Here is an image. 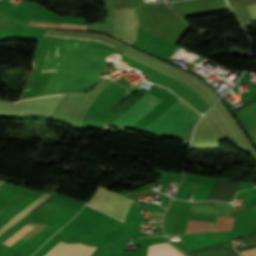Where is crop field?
I'll use <instances>...</instances> for the list:
<instances>
[{"mask_svg": "<svg viewBox=\"0 0 256 256\" xmlns=\"http://www.w3.org/2000/svg\"><path fill=\"white\" fill-rule=\"evenodd\" d=\"M199 116L200 115L198 113L189 108L170 92L161 87H156L132 108L116 119L112 124L131 125L134 127L175 135ZM195 121L175 135V137L186 140ZM140 128L135 129L160 134ZM166 136L173 137L172 135Z\"/></svg>", "mask_w": 256, "mask_h": 256, "instance_id": "crop-field-1", "label": "crop field"}, {"mask_svg": "<svg viewBox=\"0 0 256 256\" xmlns=\"http://www.w3.org/2000/svg\"><path fill=\"white\" fill-rule=\"evenodd\" d=\"M123 54L182 81L196 91L209 106L218 98L212 89L190 73L177 69L131 47L125 50Z\"/></svg>", "mask_w": 256, "mask_h": 256, "instance_id": "crop-field-2", "label": "crop field"}, {"mask_svg": "<svg viewBox=\"0 0 256 256\" xmlns=\"http://www.w3.org/2000/svg\"><path fill=\"white\" fill-rule=\"evenodd\" d=\"M64 95L41 97L19 101L17 103H0V116H27L51 118Z\"/></svg>", "mask_w": 256, "mask_h": 256, "instance_id": "crop-field-3", "label": "crop field"}, {"mask_svg": "<svg viewBox=\"0 0 256 256\" xmlns=\"http://www.w3.org/2000/svg\"><path fill=\"white\" fill-rule=\"evenodd\" d=\"M134 200L99 186L87 206L100 210L124 222L128 209Z\"/></svg>", "mask_w": 256, "mask_h": 256, "instance_id": "crop-field-4", "label": "crop field"}, {"mask_svg": "<svg viewBox=\"0 0 256 256\" xmlns=\"http://www.w3.org/2000/svg\"><path fill=\"white\" fill-rule=\"evenodd\" d=\"M138 19L134 9L114 10V36L131 44L135 40Z\"/></svg>", "mask_w": 256, "mask_h": 256, "instance_id": "crop-field-5", "label": "crop field"}, {"mask_svg": "<svg viewBox=\"0 0 256 256\" xmlns=\"http://www.w3.org/2000/svg\"><path fill=\"white\" fill-rule=\"evenodd\" d=\"M96 247L58 243L45 256H89Z\"/></svg>", "mask_w": 256, "mask_h": 256, "instance_id": "crop-field-6", "label": "crop field"}, {"mask_svg": "<svg viewBox=\"0 0 256 256\" xmlns=\"http://www.w3.org/2000/svg\"><path fill=\"white\" fill-rule=\"evenodd\" d=\"M148 256H183L168 243L149 246Z\"/></svg>", "mask_w": 256, "mask_h": 256, "instance_id": "crop-field-7", "label": "crop field"}, {"mask_svg": "<svg viewBox=\"0 0 256 256\" xmlns=\"http://www.w3.org/2000/svg\"><path fill=\"white\" fill-rule=\"evenodd\" d=\"M51 197L50 195L43 194L41 197H39L37 200H35L33 203H31L29 206H27L23 211H21L17 216L10 219L4 226L0 228V235L7 230L9 227H11L15 222H17L20 218H22L24 215L29 213L31 210H33L35 207L40 205L42 202H44L46 199ZM21 220V219H20Z\"/></svg>", "mask_w": 256, "mask_h": 256, "instance_id": "crop-field-8", "label": "crop field"}, {"mask_svg": "<svg viewBox=\"0 0 256 256\" xmlns=\"http://www.w3.org/2000/svg\"><path fill=\"white\" fill-rule=\"evenodd\" d=\"M28 25H37V26H47V27H57V28L85 30V25L47 23V22L34 21V20H30Z\"/></svg>", "mask_w": 256, "mask_h": 256, "instance_id": "crop-field-9", "label": "crop field"}, {"mask_svg": "<svg viewBox=\"0 0 256 256\" xmlns=\"http://www.w3.org/2000/svg\"><path fill=\"white\" fill-rule=\"evenodd\" d=\"M212 225L213 223L189 221L186 233L211 231Z\"/></svg>", "mask_w": 256, "mask_h": 256, "instance_id": "crop-field-10", "label": "crop field"}, {"mask_svg": "<svg viewBox=\"0 0 256 256\" xmlns=\"http://www.w3.org/2000/svg\"><path fill=\"white\" fill-rule=\"evenodd\" d=\"M234 218L218 217L213 232L231 230Z\"/></svg>", "mask_w": 256, "mask_h": 256, "instance_id": "crop-field-11", "label": "crop field"}, {"mask_svg": "<svg viewBox=\"0 0 256 256\" xmlns=\"http://www.w3.org/2000/svg\"><path fill=\"white\" fill-rule=\"evenodd\" d=\"M244 256H256V248L242 251L241 252Z\"/></svg>", "mask_w": 256, "mask_h": 256, "instance_id": "crop-field-12", "label": "crop field"}, {"mask_svg": "<svg viewBox=\"0 0 256 256\" xmlns=\"http://www.w3.org/2000/svg\"><path fill=\"white\" fill-rule=\"evenodd\" d=\"M253 18H256V4L247 6Z\"/></svg>", "mask_w": 256, "mask_h": 256, "instance_id": "crop-field-13", "label": "crop field"}, {"mask_svg": "<svg viewBox=\"0 0 256 256\" xmlns=\"http://www.w3.org/2000/svg\"><path fill=\"white\" fill-rule=\"evenodd\" d=\"M3 183V181L0 180V185Z\"/></svg>", "mask_w": 256, "mask_h": 256, "instance_id": "crop-field-14", "label": "crop field"}]
</instances>
